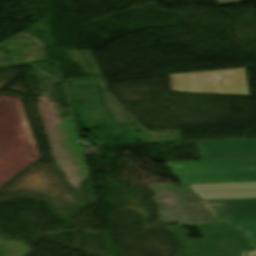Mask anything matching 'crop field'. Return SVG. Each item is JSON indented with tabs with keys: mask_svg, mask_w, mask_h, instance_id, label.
<instances>
[{
	"mask_svg": "<svg viewBox=\"0 0 256 256\" xmlns=\"http://www.w3.org/2000/svg\"><path fill=\"white\" fill-rule=\"evenodd\" d=\"M182 184L256 181V159L167 163Z\"/></svg>",
	"mask_w": 256,
	"mask_h": 256,
	"instance_id": "8a807250",
	"label": "crop field"
},
{
	"mask_svg": "<svg viewBox=\"0 0 256 256\" xmlns=\"http://www.w3.org/2000/svg\"><path fill=\"white\" fill-rule=\"evenodd\" d=\"M201 160L256 158V139L197 142Z\"/></svg>",
	"mask_w": 256,
	"mask_h": 256,
	"instance_id": "ac0d7876",
	"label": "crop field"
},
{
	"mask_svg": "<svg viewBox=\"0 0 256 256\" xmlns=\"http://www.w3.org/2000/svg\"><path fill=\"white\" fill-rule=\"evenodd\" d=\"M209 207L215 210L216 219L226 223L256 221V198L213 200Z\"/></svg>",
	"mask_w": 256,
	"mask_h": 256,
	"instance_id": "34b2d1b8",
	"label": "crop field"
},
{
	"mask_svg": "<svg viewBox=\"0 0 256 256\" xmlns=\"http://www.w3.org/2000/svg\"><path fill=\"white\" fill-rule=\"evenodd\" d=\"M203 200L255 198L256 182L190 185Z\"/></svg>",
	"mask_w": 256,
	"mask_h": 256,
	"instance_id": "412701ff",
	"label": "crop field"
},
{
	"mask_svg": "<svg viewBox=\"0 0 256 256\" xmlns=\"http://www.w3.org/2000/svg\"><path fill=\"white\" fill-rule=\"evenodd\" d=\"M232 228L241 231L253 247L256 248V222L229 224ZM243 256H256V251H249Z\"/></svg>",
	"mask_w": 256,
	"mask_h": 256,
	"instance_id": "f4fd0767",
	"label": "crop field"
},
{
	"mask_svg": "<svg viewBox=\"0 0 256 256\" xmlns=\"http://www.w3.org/2000/svg\"><path fill=\"white\" fill-rule=\"evenodd\" d=\"M239 0H220L221 3H227V2H235Z\"/></svg>",
	"mask_w": 256,
	"mask_h": 256,
	"instance_id": "dd49c442",
	"label": "crop field"
}]
</instances>
